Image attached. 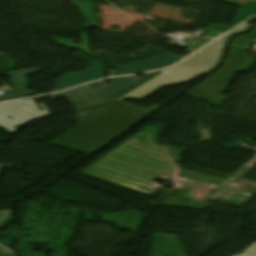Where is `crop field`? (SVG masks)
I'll list each match as a JSON object with an SVG mask.
<instances>
[{
  "label": "crop field",
  "instance_id": "f4fd0767",
  "mask_svg": "<svg viewBox=\"0 0 256 256\" xmlns=\"http://www.w3.org/2000/svg\"><path fill=\"white\" fill-rule=\"evenodd\" d=\"M161 72L144 74L140 79H136L135 76L119 78L106 86L102 80L52 95V97L53 99L66 97L74 107L116 101Z\"/></svg>",
  "mask_w": 256,
  "mask_h": 256
},
{
  "label": "crop field",
  "instance_id": "92a150f3",
  "mask_svg": "<svg viewBox=\"0 0 256 256\" xmlns=\"http://www.w3.org/2000/svg\"><path fill=\"white\" fill-rule=\"evenodd\" d=\"M3 168H4L3 166H0V174H1L2 170H3Z\"/></svg>",
  "mask_w": 256,
  "mask_h": 256
},
{
  "label": "crop field",
  "instance_id": "412701ff",
  "mask_svg": "<svg viewBox=\"0 0 256 256\" xmlns=\"http://www.w3.org/2000/svg\"><path fill=\"white\" fill-rule=\"evenodd\" d=\"M255 40L236 37L230 43V52L224 64L209 78L202 81L185 94L200 100H205L218 108L227 99L222 94L227 90L228 83L238 72L249 71L256 56L246 54Z\"/></svg>",
  "mask_w": 256,
  "mask_h": 256
},
{
  "label": "crop field",
  "instance_id": "d1516ede",
  "mask_svg": "<svg viewBox=\"0 0 256 256\" xmlns=\"http://www.w3.org/2000/svg\"><path fill=\"white\" fill-rule=\"evenodd\" d=\"M53 40L57 41L59 43V45H62V46L68 47V48L85 50V51H87V53H90L87 35H82L83 46L73 44V41H71V40L58 39V38H53Z\"/></svg>",
  "mask_w": 256,
  "mask_h": 256
},
{
  "label": "crop field",
  "instance_id": "cbeb9de0",
  "mask_svg": "<svg viewBox=\"0 0 256 256\" xmlns=\"http://www.w3.org/2000/svg\"><path fill=\"white\" fill-rule=\"evenodd\" d=\"M10 215L9 211H0V224L4 222Z\"/></svg>",
  "mask_w": 256,
  "mask_h": 256
},
{
  "label": "crop field",
  "instance_id": "3316defc",
  "mask_svg": "<svg viewBox=\"0 0 256 256\" xmlns=\"http://www.w3.org/2000/svg\"><path fill=\"white\" fill-rule=\"evenodd\" d=\"M71 3L81 10L83 17L87 20L88 26H96V24L99 23V16L96 15L95 8L91 0Z\"/></svg>",
  "mask_w": 256,
  "mask_h": 256
},
{
  "label": "crop field",
  "instance_id": "733c2abd",
  "mask_svg": "<svg viewBox=\"0 0 256 256\" xmlns=\"http://www.w3.org/2000/svg\"><path fill=\"white\" fill-rule=\"evenodd\" d=\"M240 36H244V37H248L256 40V28L249 35H240Z\"/></svg>",
  "mask_w": 256,
  "mask_h": 256
},
{
  "label": "crop field",
  "instance_id": "dd49c442",
  "mask_svg": "<svg viewBox=\"0 0 256 256\" xmlns=\"http://www.w3.org/2000/svg\"><path fill=\"white\" fill-rule=\"evenodd\" d=\"M41 106L45 111L38 110L33 99L26 102L23 100H18L2 103L0 104V126L14 133L17 130L14 127L32 119L49 115V111L43 103ZM7 115L15 119L11 120L6 117Z\"/></svg>",
  "mask_w": 256,
  "mask_h": 256
},
{
  "label": "crop field",
  "instance_id": "d9b57169",
  "mask_svg": "<svg viewBox=\"0 0 256 256\" xmlns=\"http://www.w3.org/2000/svg\"><path fill=\"white\" fill-rule=\"evenodd\" d=\"M204 31L208 32V36L215 37V38L223 34L222 32H216V31H210V30H204Z\"/></svg>",
  "mask_w": 256,
  "mask_h": 256
},
{
  "label": "crop field",
  "instance_id": "5142ce71",
  "mask_svg": "<svg viewBox=\"0 0 256 256\" xmlns=\"http://www.w3.org/2000/svg\"><path fill=\"white\" fill-rule=\"evenodd\" d=\"M243 7H247V8L256 10V2H255V1H252V0H249L248 2H246V3L244 4Z\"/></svg>",
  "mask_w": 256,
  "mask_h": 256
},
{
  "label": "crop field",
  "instance_id": "ac0d7876",
  "mask_svg": "<svg viewBox=\"0 0 256 256\" xmlns=\"http://www.w3.org/2000/svg\"><path fill=\"white\" fill-rule=\"evenodd\" d=\"M158 107L140 109L122 101L78 107L80 115L71 119L80 123L50 145L89 154Z\"/></svg>",
  "mask_w": 256,
  "mask_h": 256
},
{
  "label": "crop field",
  "instance_id": "28ad6ade",
  "mask_svg": "<svg viewBox=\"0 0 256 256\" xmlns=\"http://www.w3.org/2000/svg\"><path fill=\"white\" fill-rule=\"evenodd\" d=\"M253 14H255V12L253 10H250L247 8H241L238 11V16H237L235 22L231 26L210 25V27L208 29L226 32V31L230 30L231 28H233L234 26H236L237 24H239L244 19L252 16Z\"/></svg>",
  "mask_w": 256,
  "mask_h": 256
},
{
  "label": "crop field",
  "instance_id": "d8731c3e",
  "mask_svg": "<svg viewBox=\"0 0 256 256\" xmlns=\"http://www.w3.org/2000/svg\"><path fill=\"white\" fill-rule=\"evenodd\" d=\"M102 78V62H93V68L80 73H66L55 85L56 91L70 88L80 83Z\"/></svg>",
  "mask_w": 256,
  "mask_h": 256
},
{
  "label": "crop field",
  "instance_id": "8a807250",
  "mask_svg": "<svg viewBox=\"0 0 256 256\" xmlns=\"http://www.w3.org/2000/svg\"><path fill=\"white\" fill-rule=\"evenodd\" d=\"M170 171V158L164 148L132 138L84 173L153 195L161 186L149 180L155 175L166 177ZM139 186L155 191H144Z\"/></svg>",
  "mask_w": 256,
  "mask_h": 256
},
{
  "label": "crop field",
  "instance_id": "4a817a6b",
  "mask_svg": "<svg viewBox=\"0 0 256 256\" xmlns=\"http://www.w3.org/2000/svg\"><path fill=\"white\" fill-rule=\"evenodd\" d=\"M0 249L3 253H14L13 251L9 250L6 246L0 244Z\"/></svg>",
  "mask_w": 256,
  "mask_h": 256
},
{
  "label": "crop field",
  "instance_id": "5a996713",
  "mask_svg": "<svg viewBox=\"0 0 256 256\" xmlns=\"http://www.w3.org/2000/svg\"><path fill=\"white\" fill-rule=\"evenodd\" d=\"M37 71H40V69H29L9 73L12 83L16 90L9 91L10 94L2 95L0 97V101L17 99L23 97L24 95L35 94L34 92L25 89L29 86L25 75L32 74Z\"/></svg>",
  "mask_w": 256,
  "mask_h": 256
},
{
  "label": "crop field",
  "instance_id": "214f88e0",
  "mask_svg": "<svg viewBox=\"0 0 256 256\" xmlns=\"http://www.w3.org/2000/svg\"><path fill=\"white\" fill-rule=\"evenodd\" d=\"M0 256H15V254H2L0 251Z\"/></svg>",
  "mask_w": 256,
  "mask_h": 256
},
{
  "label": "crop field",
  "instance_id": "bc2a9ffb",
  "mask_svg": "<svg viewBox=\"0 0 256 256\" xmlns=\"http://www.w3.org/2000/svg\"><path fill=\"white\" fill-rule=\"evenodd\" d=\"M237 256H256V255L252 254V253H249V252L243 251L242 255H237Z\"/></svg>",
  "mask_w": 256,
  "mask_h": 256
},
{
  "label": "crop field",
  "instance_id": "e52e79f7",
  "mask_svg": "<svg viewBox=\"0 0 256 256\" xmlns=\"http://www.w3.org/2000/svg\"><path fill=\"white\" fill-rule=\"evenodd\" d=\"M191 53H193V51L187 52L184 57L188 56ZM184 57H180L178 55L167 52L165 55H162V56L154 57L151 59H147V60H143V61H139L131 64L117 66L113 71V76L133 74V73H139V72H145V71L164 68V67L176 64Z\"/></svg>",
  "mask_w": 256,
  "mask_h": 256
},
{
  "label": "crop field",
  "instance_id": "34b2d1b8",
  "mask_svg": "<svg viewBox=\"0 0 256 256\" xmlns=\"http://www.w3.org/2000/svg\"><path fill=\"white\" fill-rule=\"evenodd\" d=\"M250 27L252 26L241 25L198 54L176 67L162 72L119 100L142 101L165 86L178 84L204 75L220 62L224 54V44L229 37L237 32L247 31Z\"/></svg>",
  "mask_w": 256,
  "mask_h": 256
},
{
  "label": "crop field",
  "instance_id": "22f410ed",
  "mask_svg": "<svg viewBox=\"0 0 256 256\" xmlns=\"http://www.w3.org/2000/svg\"><path fill=\"white\" fill-rule=\"evenodd\" d=\"M213 39H205L199 43H197L196 45H194L190 50L196 51L199 48H201L202 46H204L205 44H207L208 42L212 41Z\"/></svg>",
  "mask_w": 256,
  "mask_h": 256
}]
</instances>
